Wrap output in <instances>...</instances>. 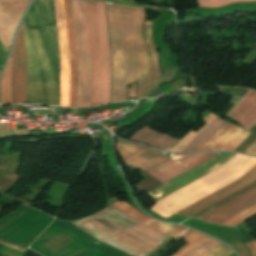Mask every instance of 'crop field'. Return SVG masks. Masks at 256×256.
Masks as SVG:
<instances>
[{"mask_svg": "<svg viewBox=\"0 0 256 256\" xmlns=\"http://www.w3.org/2000/svg\"><path fill=\"white\" fill-rule=\"evenodd\" d=\"M112 58V102L126 101V84L138 80V99L160 84L158 59L151 36L152 22L146 21L145 37L152 66L142 36L145 20L141 8L107 5Z\"/></svg>", "mask_w": 256, "mask_h": 256, "instance_id": "obj_1", "label": "crop field"}, {"mask_svg": "<svg viewBox=\"0 0 256 256\" xmlns=\"http://www.w3.org/2000/svg\"><path fill=\"white\" fill-rule=\"evenodd\" d=\"M27 104L58 105L59 59L52 0H35L24 21Z\"/></svg>", "mask_w": 256, "mask_h": 256, "instance_id": "obj_2", "label": "crop field"}, {"mask_svg": "<svg viewBox=\"0 0 256 256\" xmlns=\"http://www.w3.org/2000/svg\"><path fill=\"white\" fill-rule=\"evenodd\" d=\"M75 226L132 256H145L170 236L136 222L112 207L82 219Z\"/></svg>", "mask_w": 256, "mask_h": 256, "instance_id": "obj_3", "label": "crop field"}, {"mask_svg": "<svg viewBox=\"0 0 256 256\" xmlns=\"http://www.w3.org/2000/svg\"><path fill=\"white\" fill-rule=\"evenodd\" d=\"M255 164L256 158L236 154L222 167L156 202L150 209L167 217L240 178Z\"/></svg>", "mask_w": 256, "mask_h": 256, "instance_id": "obj_4", "label": "crop field"}, {"mask_svg": "<svg viewBox=\"0 0 256 256\" xmlns=\"http://www.w3.org/2000/svg\"><path fill=\"white\" fill-rule=\"evenodd\" d=\"M91 58V106L110 102V57L104 3L87 2Z\"/></svg>", "mask_w": 256, "mask_h": 256, "instance_id": "obj_5", "label": "crop field"}, {"mask_svg": "<svg viewBox=\"0 0 256 256\" xmlns=\"http://www.w3.org/2000/svg\"><path fill=\"white\" fill-rule=\"evenodd\" d=\"M78 58V107H90V58L84 1L72 0Z\"/></svg>", "mask_w": 256, "mask_h": 256, "instance_id": "obj_6", "label": "crop field"}, {"mask_svg": "<svg viewBox=\"0 0 256 256\" xmlns=\"http://www.w3.org/2000/svg\"><path fill=\"white\" fill-rule=\"evenodd\" d=\"M234 155V153H217L210 159L190 169L170 182L149 191L148 194L153 198L152 200L156 202L202 177L203 175L213 171L214 169L222 166Z\"/></svg>", "mask_w": 256, "mask_h": 256, "instance_id": "obj_7", "label": "crop field"}, {"mask_svg": "<svg viewBox=\"0 0 256 256\" xmlns=\"http://www.w3.org/2000/svg\"><path fill=\"white\" fill-rule=\"evenodd\" d=\"M11 59V104H26V59L21 26L12 51Z\"/></svg>", "mask_w": 256, "mask_h": 256, "instance_id": "obj_8", "label": "crop field"}, {"mask_svg": "<svg viewBox=\"0 0 256 256\" xmlns=\"http://www.w3.org/2000/svg\"><path fill=\"white\" fill-rule=\"evenodd\" d=\"M214 154L215 153L178 154L147 173L159 180L161 183H165L166 181L210 158Z\"/></svg>", "mask_w": 256, "mask_h": 256, "instance_id": "obj_9", "label": "crop field"}, {"mask_svg": "<svg viewBox=\"0 0 256 256\" xmlns=\"http://www.w3.org/2000/svg\"><path fill=\"white\" fill-rule=\"evenodd\" d=\"M28 0H0V42L8 51Z\"/></svg>", "mask_w": 256, "mask_h": 256, "instance_id": "obj_10", "label": "crop field"}, {"mask_svg": "<svg viewBox=\"0 0 256 256\" xmlns=\"http://www.w3.org/2000/svg\"><path fill=\"white\" fill-rule=\"evenodd\" d=\"M116 148L125 163L143 171L169 159L153 150L118 140Z\"/></svg>", "mask_w": 256, "mask_h": 256, "instance_id": "obj_11", "label": "crop field"}, {"mask_svg": "<svg viewBox=\"0 0 256 256\" xmlns=\"http://www.w3.org/2000/svg\"><path fill=\"white\" fill-rule=\"evenodd\" d=\"M61 59L60 105L68 106L69 59L62 0H54Z\"/></svg>", "mask_w": 256, "mask_h": 256, "instance_id": "obj_12", "label": "crop field"}, {"mask_svg": "<svg viewBox=\"0 0 256 256\" xmlns=\"http://www.w3.org/2000/svg\"><path fill=\"white\" fill-rule=\"evenodd\" d=\"M256 179V165L250 169L240 179L230 183L229 185L219 189L218 191L208 195L207 197L197 201L196 203L186 207L185 209L177 212L176 214L184 216L186 218L201 211L202 209L210 206L211 204L221 200L222 198L230 195L231 193L241 189L242 187L250 184Z\"/></svg>", "mask_w": 256, "mask_h": 256, "instance_id": "obj_13", "label": "crop field"}, {"mask_svg": "<svg viewBox=\"0 0 256 256\" xmlns=\"http://www.w3.org/2000/svg\"><path fill=\"white\" fill-rule=\"evenodd\" d=\"M241 128V127H240ZM226 122L197 151L202 150H232L234 151L250 132Z\"/></svg>", "mask_w": 256, "mask_h": 256, "instance_id": "obj_14", "label": "crop field"}, {"mask_svg": "<svg viewBox=\"0 0 256 256\" xmlns=\"http://www.w3.org/2000/svg\"><path fill=\"white\" fill-rule=\"evenodd\" d=\"M255 204L256 188L246 192L245 194L233 199L232 201L222 205L221 207L198 219L214 224H220Z\"/></svg>", "mask_w": 256, "mask_h": 256, "instance_id": "obj_15", "label": "crop field"}, {"mask_svg": "<svg viewBox=\"0 0 256 256\" xmlns=\"http://www.w3.org/2000/svg\"><path fill=\"white\" fill-rule=\"evenodd\" d=\"M70 59L69 106L77 107V58L71 0H63Z\"/></svg>", "mask_w": 256, "mask_h": 256, "instance_id": "obj_16", "label": "crop field"}, {"mask_svg": "<svg viewBox=\"0 0 256 256\" xmlns=\"http://www.w3.org/2000/svg\"><path fill=\"white\" fill-rule=\"evenodd\" d=\"M226 116L249 130L256 122V92L249 90Z\"/></svg>", "mask_w": 256, "mask_h": 256, "instance_id": "obj_17", "label": "crop field"}, {"mask_svg": "<svg viewBox=\"0 0 256 256\" xmlns=\"http://www.w3.org/2000/svg\"><path fill=\"white\" fill-rule=\"evenodd\" d=\"M110 206L117 209L118 211H120L121 213L125 214L128 217L136 221H139L145 225H148L152 228H155L161 232H164L174 238H177L181 233H183L186 230V228L184 227L158 222L148 216L143 215L142 213H140L139 211L135 210L134 208L130 207L129 205L122 201L116 202Z\"/></svg>", "mask_w": 256, "mask_h": 256, "instance_id": "obj_18", "label": "crop field"}, {"mask_svg": "<svg viewBox=\"0 0 256 256\" xmlns=\"http://www.w3.org/2000/svg\"><path fill=\"white\" fill-rule=\"evenodd\" d=\"M130 140L150 144L154 147H159L163 150L168 149L176 142V139L162 135L146 127L134 133Z\"/></svg>", "mask_w": 256, "mask_h": 256, "instance_id": "obj_19", "label": "crop field"}, {"mask_svg": "<svg viewBox=\"0 0 256 256\" xmlns=\"http://www.w3.org/2000/svg\"><path fill=\"white\" fill-rule=\"evenodd\" d=\"M225 121L215 118L200 134H198L182 151H196L210 136H212Z\"/></svg>", "mask_w": 256, "mask_h": 256, "instance_id": "obj_20", "label": "crop field"}, {"mask_svg": "<svg viewBox=\"0 0 256 256\" xmlns=\"http://www.w3.org/2000/svg\"><path fill=\"white\" fill-rule=\"evenodd\" d=\"M180 237L185 238L183 241L187 242L188 244L177 251L172 256H183L188 253L190 250L207 240L209 237H206L196 231L187 230L184 234Z\"/></svg>", "mask_w": 256, "mask_h": 256, "instance_id": "obj_21", "label": "crop field"}, {"mask_svg": "<svg viewBox=\"0 0 256 256\" xmlns=\"http://www.w3.org/2000/svg\"><path fill=\"white\" fill-rule=\"evenodd\" d=\"M0 102L10 104V60L9 58L1 78Z\"/></svg>", "mask_w": 256, "mask_h": 256, "instance_id": "obj_22", "label": "crop field"}, {"mask_svg": "<svg viewBox=\"0 0 256 256\" xmlns=\"http://www.w3.org/2000/svg\"><path fill=\"white\" fill-rule=\"evenodd\" d=\"M220 244V242L210 238L201 245H199L198 247H196L194 250H190L191 252H189L185 256H204L205 254H207Z\"/></svg>", "mask_w": 256, "mask_h": 256, "instance_id": "obj_23", "label": "crop field"}, {"mask_svg": "<svg viewBox=\"0 0 256 256\" xmlns=\"http://www.w3.org/2000/svg\"><path fill=\"white\" fill-rule=\"evenodd\" d=\"M256 215V205L251 207L250 209L240 213L239 215L231 218L230 220L222 223L223 225H231V226H236L245 220L249 219L250 217Z\"/></svg>", "mask_w": 256, "mask_h": 256, "instance_id": "obj_24", "label": "crop field"}, {"mask_svg": "<svg viewBox=\"0 0 256 256\" xmlns=\"http://www.w3.org/2000/svg\"><path fill=\"white\" fill-rule=\"evenodd\" d=\"M256 0H197L198 6L202 7H220L232 2H244Z\"/></svg>", "mask_w": 256, "mask_h": 256, "instance_id": "obj_25", "label": "crop field"}, {"mask_svg": "<svg viewBox=\"0 0 256 256\" xmlns=\"http://www.w3.org/2000/svg\"><path fill=\"white\" fill-rule=\"evenodd\" d=\"M232 248L238 251L240 256H251L249 250L243 245V243L233 240L228 243Z\"/></svg>", "mask_w": 256, "mask_h": 256, "instance_id": "obj_26", "label": "crop field"}, {"mask_svg": "<svg viewBox=\"0 0 256 256\" xmlns=\"http://www.w3.org/2000/svg\"><path fill=\"white\" fill-rule=\"evenodd\" d=\"M231 228V227H230ZM240 234H242V233H240L238 230H236V229H233V228H231V229H229V230H227L226 232H224L223 234H221V235H219L217 238H219V239H221V240H223V241H225V242H230L232 239H234V238H236L237 236H239Z\"/></svg>", "mask_w": 256, "mask_h": 256, "instance_id": "obj_27", "label": "crop field"}, {"mask_svg": "<svg viewBox=\"0 0 256 256\" xmlns=\"http://www.w3.org/2000/svg\"><path fill=\"white\" fill-rule=\"evenodd\" d=\"M209 253V252H208ZM233 253L226 245H220L206 256H228Z\"/></svg>", "mask_w": 256, "mask_h": 256, "instance_id": "obj_28", "label": "crop field"}, {"mask_svg": "<svg viewBox=\"0 0 256 256\" xmlns=\"http://www.w3.org/2000/svg\"><path fill=\"white\" fill-rule=\"evenodd\" d=\"M246 246L251 251L252 256H256V239L246 243Z\"/></svg>", "mask_w": 256, "mask_h": 256, "instance_id": "obj_29", "label": "crop field"}, {"mask_svg": "<svg viewBox=\"0 0 256 256\" xmlns=\"http://www.w3.org/2000/svg\"><path fill=\"white\" fill-rule=\"evenodd\" d=\"M244 153L256 155V140L244 151Z\"/></svg>", "mask_w": 256, "mask_h": 256, "instance_id": "obj_30", "label": "crop field"}, {"mask_svg": "<svg viewBox=\"0 0 256 256\" xmlns=\"http://www.w3.org/2000/svg\"><path fill=\"white\" fill-rule=\"evenodd\" d=\"M6 54H7L6 50L4 49L2 44L0 43V67L3 65Z\"/></svg>", "mask_w": 256, "mask_h": 256, "instance_id": "obj_31", "label": "crop field"}, {"mask_svg": "<svg viewBox=\"0 0 256 256\" xmlns=\"http://www.w3.org/2000/svg\"><path fill=\"white\" fill-rule=\"evenodd\" d=\"M236 239H238V240H240V241H242V242H247V241H249V240H251V239H253V238H251V237H248V236H246V235H244V234H242V235H240L238 238H236Z\"/></svg>", "mask_w": 256, "mask_h": 256, "instance_id": "obj_32", "label": "crop field"}, {"mask_svg": "<svg viewBox=\"0 0 256 256\" xmlns=\"http://www.w3.org/2000/svg\"><path fill=\"white\" fill-rule=\"evenodd\" d=\"M129 97H136L135 87L129 89Z\"/></svg>", "mask_w": 256, "mask_h": 256, "instance_id": "obj_33", "label": "crop field"}, {"mask_svg": "<svg viewBox=\"0 0 256 256\" xmlns=\"http://www.w3.org/2000/svg\"><path fill=\"white\" fill-rule=\"evenodd\" d=\"M0 244L7 245V246H11V247H14V248H16V249H19V250H22V251L25 252V248L17 247V246H14V245H10V244H7V243H3V242H0Z\"/></svg>", "mask_w": 256, "mask_h": 256, "instance_id": "obj_34", "label": "crop field"}, {"mask_svg": "<svg viewBox=\"0 0 256 256\" xmlns=\"http://www.w3.org/2000/svg\"><path fill=\"white\" fill-rule=\"evenodd\" d=\"M230 256H236V255L233 253V254H231Z\"/></svg>", "mask_w": 256, "mask_h": 256, "instance_id": "obj_35", "label": "crop field"}, {"mask_svg": "<svg viewBox=\"0 0 256 256\" xmlns=\"http://www.w3.org/2000/svg\"><path fill=\"white\" fill-rule=\"evenodd\" d=\"M102 1H107V0H102ZM109 1H114V0H109Z\"/></svg>", "mask_w": 256, "mask_h": 256, "instance_id": "obj_36", "label": "crop field"}]
</instances>
